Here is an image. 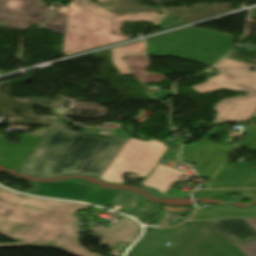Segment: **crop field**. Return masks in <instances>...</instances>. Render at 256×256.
Masks as SVG:
<instances>
[{
	"instance_id": "34b2d1b8",
	"label": "crop field",
	"mask_w": 256,
	"mask_h": 256,
	"mask_svg": "<svg viewBox=\"0 0 256 256\" xmlns=\"http://www.w3.org/2000/svg\"><path fill=\"white\" fill-rule=\"evenodd\" d=\"M180 227L167 228L157 240L144 236L131 256H247L206 221L186 222L165 247Z\"/></svg>"
},
{
	"instance_id": "22f410ed",
	"label": "crop field",
	"mask_w": 256,
	"mask_h": 256,
	"mask_svg": "<svg viewBox=\"0 0 256 256\" xmlns=\"http://www.w3.org/2000/svg\"><path fill=\"white\" fill-rule=\"evenodd\" d=\"M252 164H256V162L251 164H233L226 160L214 180H218L219 176L225 177L228 180L218 182L213 180V183L215 182L217 185L212 183L209 188H244L256 170L251 167ZM227 175L230 177H227Z\"/></svg>"
},
{
	"instance_id": "214f88e0",
	"label": "crop field",
	"mask_w": 256,
	"mask_h": 256,
	"mask_svg": "<svg viewBox=\"0 0 256 256\" xmlns=\"http://www.w3.org/2000/svg\"><path fill=\"white\" fill-rule=\"evenodd\" d=\"M244 219L248 221L256 229V218H244ZM237 247L240 248L248 256H256V241L246 243L244 245L237 246Z\"/></svg>"
},
{
	"instance_id": "5a996713",
	"label": "crop field",
	"mask_w": 256,
	"mask_h": 256,
	"mask_svg": "<svg viewBox=\"0 0 256 256\" xmlns=\"http://www.w3.org/2000/svg\"><path fill=\"white\" fill-rule=\"evenodd\" d=\"M42 0H0V22L11 28L26 29L31 23L43 25L51 16ZM39 13H44L43 16Z\"/></svg>"
},
{
	"instance_id": "5142ce71",
	"label": "crop field",
	"mask_w": 256,
	"mask_h": 256,
	"mask_svg": "<svg viewBox=\"0 0 256 256\" xmlns=\"http://www.w3.org/2000/svg\"><path fill=\"white\" fill-rule=\"evenodd\" d=\"M106 1V0H98ZM72 2L86 8L87 10L95 13L96 15L110 19L112 21H150L155 25L161 20L163 16H159L158 13H135V14H123L113 15L105 9L101 8L97 4L89 0H72Z\"/></svg>"
},
{
	"instance_id": "cbeb9de0",
	"label": "crop field",
	"mask_w": 256,
	"mask_h": 256,
	"mask_svg": "<svg viewBox=\"0 0 256 256\" xmlns=\"http://www.w3.org/2000/svg\"><path fill=\"white\" fill-rule=\"evenodd\" d=\"M95 234L103 237L102 244L113 247L119 241L132 243L136 238L139 227L136 222L124 217L111 228H93Z\"/></svg>"
},
{
	"instance_id": "00972430",
	"label": "crop field",
	"mask_w": 256,
	"mask_h": 256,
	"mask_svg": "<svg viewBox=\"0 0 256 256\" xmlns=\"http://www.w3.org/2000/svg\"><path fill=\"white\" fill-rule=\"evenodd\" d=\"M165 17H166V19H163L162 22L157 27H159L161 29H166V28H169V27H172V26L182 24L181 22L173 20V19H171L167 16H165Z\"/></svg>"
},
{
	"instance_id": "d3111659",
	"label": "crop field",
	"mask_w": 256,
	"mask_h": 256,
	"mask_svg": "<svg viewBox=\"0 0 256 256\" xmlns=\"http://www.w3.org/2000/svg\"><path fill=\"white\" fill-rule=\"evenodd\" d=\"M1 26V25H0Z\"/></svg>"
},
{
	"instance_id": "eef30255",
	"label": "crop field",
	"mask_w": 256,
	"mask_h": 256,
	"mask_svg": "<svg viewBox=\"0 0 256 256\" xmlns=\"http://www.w3.org/2000/svg\"><path fill=\"white\" fill-rule=\"evenodd\" d=\"M211 135H216V133H209L204 139H209Z\"/></svg>"
},
{
	"instance_id": "a9b5d70f",
	"label": "crop field",
	"mask_w": 256,
	"mask_h": 256,
	"mask_svg": "<svg viewBox=\"0 0 256 256\" xmlns=\"http://www.w3.org/2000/svg\"><path fill=\"white\" fill-rule=\"evenodd\" d=\"M177 152H178V150H176V149L168 148V150L163 155L161 160H165V159L177 160Z\"/></svg>"
},
{
	"instance_id": "4a817a6b",
	"label": "crop field",
	"mask_w": 256,
	"mask_h": 256,
	"mask_svg": "<svg viewBox=\"0 0 256 256\" xmlns=\"http://www.w3.org/2000/svg\"><path fill=\"white\" fill-rule=\"evenodd\" d=\"M238 216H256V208L254 209H236L233 207H213L210 211L198 210V212L190 219H212L224 217Z\"/></svg>"
},
{
	"instance_id": "730fd06b",
	"label": "crop field",
	"mask_w": 256,
	"mask_h": 256,
	"mask_svg": "<svg viewBox=\"0 0 256 256\" xmlns=\"http://www.w3.org/2000/svg\"><path fill=\"white\" fill-rule=\"evenodd\" d=\"M172 93L170 94H165V95H160V96H155V98L159 99V100H162V99H165L167 98L169 95H171Z\"/></svg>"
},
{
	"instance_id": "412701ff",
	"label": "crop field",
	"mask_w": 256,
	"mask_h": 256,
	"mask_svg": "<svg viewBox=\"0 0 256 256\" xmlns=\"http://www.w3.org/2000/svg\"><path fill=\"white\" fill-rule=\"evenodd\" d=\"M232 48L231 36L189 28L147 39L148 55L174 56L212 66Z\"/></svg>"
},
{
	"instance_id": "28ad6ade",
	"label": "crop field",
	"mask_w": 256,
	"mask_h": 256,
	"mask_svg": "<svg viewBox=\"0 0 256 256\" xmlns=\"http://www.w3.org/2000/svg\"><path fill=\"white\" fill-rule=\"evenodd\" d=\"M41 138L25 136L18 146L7 144L0 134V163L19 169L33 152Z\"/></svg>"
},
{
	"instance_id": "d1516ede",
	"label": "crop field",
	"mask_w": 256,
	"mask_h": 256,
	"mask_svg": "<svg viewBox=\"0 0 256 256\" xmlns=\"http://www.w3.org/2000/svg\"><path fill=\"white\" fill-rule=\"evenodd\" d=\"M236 245L256 240V230L243 218L207 221Z\"/></svg>"
},
{
	"instance_id": "f4fd0767",
	"label": "crop field",
	"mask_w": 256,
	"mask_h": 256,
	"mask_svg": "<svg viewBox=\"0 0 256 256\" xmlns=\"http://www.w3.org/2000/svg\"><path fill=\"white\" fill-rule=\"evenodd\" d=\"M246 63L225 58L214 68L222 70V74L208 80L207 83L194 86L201 94L226 88L230 90L248 91L245 97H238L218 103L214 110L219 114L215 123L247 120L256 110V72L241 70ZM248 64V63H247ZM255 67L256 65L249 64Z\"/></svg>"
},
{
	"instance_id": "ac0d7876",
	"label": "crop field",
	"mask_w": 256,
	"mask_h": 256,
	"mask_svg": "<svg viewBox=\"0 0 256 256\" xmlns=\"http://www.w3.org/2000/svg\"><path fill=\"white\" fill-rule=\"evenodd\" d=\"M126 140L71 133L59 119L18 172L38 177L83 173L100 177Z\"/></svg>"
},
{
	"instance_id": "8a807250",
	"label": "crop field",
	"mask_w": 256,
	"mask_h": 256,
	"mask_svg": "<svg viewBox=\"0 0 256 256\" xmlns=\"http://www.w3.org/2000/svg\"><path fill=\"white\" fill-rule=\"evenodd\" d=\"M89 206L23 197L0 188V235L23 243L0 244V247L58 248L75 256H97L79 246L75 226L78 210Z\"/></svg>"
},
{
	"instance_id": "733c2abd",
	"label": "crop field",
	"mask_w": 256,
	"mask_h": 256,
	"mask_svg": "<svg viewBox=\"0 0 256 256\" xmlns=\"http://www.w3.org/2000/svg\"><path fill=\"white\" fill-rule=\"evenodd\" d=\"M112 62L119 70L121 76L133 75L132 71L127 66L126 62L122 60L125 55H145L144 43L137 42L121 47H117L111 50Z\"/></svg>"
},
{
	"instance_id": "ae1a2a85",
	"label": "crop field",
	"mask_w": 256,
	"mask_h": 256,
	"mask_svg": "<svg viewBox=\"0 0 256 256\" xmlns=\"http://www.w3.org/2000/svg\"><path fill=\"white\" fill-rule=\"evenodd\" d=\"M53 1H58V2H62V1H65V0H53Z\"/></svg>"
},
{
	"instance_id": "3316defc",
	"label": "crop field",
	"mask_w": 256,
	"mask_h": 256,
	"mask_svg": "<svg viewBox=\"0 0 256 256\" xmlns=\"http://www.w3.org/2000/svg\"><path fill=\"white\" fill-rule=\"evenodd\" d=\"M233 147L234 145H220L208 140H202L192 147L184 146L180 159L197 164L196 169L200 172V177L211 179ZM221 151L226 153L222 156L214 155V152Z\"/></svg>"
},
{
	"instance_id": "92a150f3",
	"label": "crop field",
	"mask_w": 256,
	"mask_h": 256,
	"mask_svg": "<svg viewBox=\"0 0 256 256\" xmlns=\"http://www.w3.org/2000/svg\"><path fill=\"white\" fill-rule=\"evenodd\" d=\"M231 190H219V191H196L193 193L195 198L198 197H215L217 195H226L230 193Z\"/></svg>"
},
{
	"instance_id": "e52e79f7",
	"label": "crop field",
	"mask_w": 256,
	"mask_h": 256,
	"mask_svg": "<svg viewBox=\"0 0 256 256\" xmlns=\"http://www.w3.org/2000/svg\"><path fill=\"white\" fill-rule=\"evenodd\" d=\"M161 142H149L129 138L100 179L109 184L124 185L121 176L125 172L146 176L163 152Z\"/></svg>"
},
{
	"instance_id": "4177f3b9",
	"label": "crop field",
	"mask_w": 256,
	"mask_h": 256,
	"mask_svg": "<svg viewBox=\"0 0 256 256\" xmlns=\"http://www.w3.org/2000/svg\"><path fill=\"white\" fill-rule=\"evenodd\" d=\"M172 91H159V92H152L150 93L152 96H155V95H160V94H165V93H170Z\"/></svg>"
},
{
	"instance_id": "dafd665d",
	"label": "crop field",
	"mask_w": 256,
	"mask_h": 256,
	"mask_svg": "<svg viewBox=\"0 0 256 256\" xmlns=\"http://www.w3.org/2000/svg\"><path fill=\"white\" fill-rule=\"evenodd\" d=\"M250 133L247 135L249 141L247 142H243V143H239L237 145H244L247 146L249 149L256 151V128L247 130Z\"/></svg>"
},
{
	"instance_id": "dd49c442",
	"label": "crop field",
	"mask_w": 256,
	"mask_h": 256,
	"mask_svg": "<svg viewBox=\"0 0 256 256\" xmlns=\"http://www.w3.org/2000/svg\"><path fill=\"white\" fill-rule=\"evenodd\" d=\"M123 23L96 17L71 3L64 39L65 55L129 39L120 33ZM75 27V29H71Z\"/></svg>"
},
{
	"instance_id": "bc2a9ffb",
	"label": "crop field",
	"mask_w": 256,
	"mask_h": 256,
	"mask_svg": "<svg viewBox=\"0 0 256 256\" xmlns=\"http://www.w3.org/2000/svg\"><path fill=\"white\" fill-rule=\"evenodd\" d=\"M67 14H68L67 7L61 4H58L54 12L53 18L50 20V22L47 25L43 26L42 28L53 30L59 34L64 35Z\"/></svg>"
},
{
	"instance_id": "d9b57169",
	"label": "crop field",
	"mask_w": 256,
	"mask_h": 256,
	"mask_svg": "<svg viewBox=\"0 0 256 256\" xmlns=\"http://www.w3.org/2000/svg\"><path fill=\"white\" fill-rule=\"evenodd\" d=\"M183 174L184 172L180 170L158 164L154 173L142 185L154 187L160 192H166Z\"/></svg>"
},
{
	"instance_id": "d8731c3e",
	"label": "crop field",
	"mask_w": 256,
	"mask_h": 256,
	"mask_svg": "<svg viewBox=\"0 0 256 256\" xmlns=\"http://www.w3.org/2000/svg\"><path fill=\"white\" fill-rule=\"evenodd\" d=\"M84 182V180H76L72 183L59 184L31 183V185L37 186V190L23 192L55 198L97 203L105 207H107L118 195L117 192L101 189L96 184H84Z\"/></svg>"
}]
</instances>
